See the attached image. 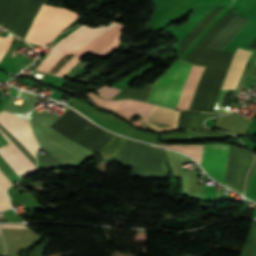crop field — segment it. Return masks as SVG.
Returning a JSON list of instances; mask_svg holds the SVG:
<instances>
[{
  "label": "crop field",
  "instance_id": "obj_4",
  "mask_svg": "<svg viewBox=\"0 0 256 256\" xmlns=\"http://www.w3.org/2000/svg\"><path fill=\"white\" fill-rule=\"evenodd\" d=\"M126 164L134 166L133 175L144 177H164L165 166L162 149L137 143Z\"/></svg>",
  "mask_w": 256,
  "mask_h": 256
},
{
  "label": "crop field",
  "instance_id": "obj_10",
  "mask_svg": "<svg viewBox=\"0 0 256 256\" xmlns=\"http://www.w3.org/2000/svg\"><path fill=\"white\" fill-rule=\"evenodd\" d=\"M168 147H172V148H176V149L182 150V151L188 153L189 155H191L192 157L196 158L198 160V162H199L201 145H170Z\"/></svg>",
  "mask_w": 256,
  "mask_h": 256
},
{
  "label": "crop field",
  "instance_id": "obj_8",
  "mask_svg": "<svg viewBox=\"0 0 256 256\" xmlns=\"http://www.w3.org/2000/svg\"><path fill=\"white\" fill-rule=\"evenodd\" d=\"M0 124L9 130L34 157L37 145L26 121L2 111L0 113Z\"/></svg>",
  "mask_w": 256,
  "mask_h": 256
},
{
  "label": "crop field",
  "instance_id": "obj_5",
  "mask_svg": "<svg viewBox=\"0 0 256 256\" xmlns=\"http://www.w3.org/2000/svg\"><path fill=\"white\" fill-rule=\"evenodd\" d=\"M229 145H204L201 166L214 179L224 184Z\"/></svg>",
  "mask_w": 256,
  "mask_h": 256
},
{
  "label": "crop field",
  "instance_id": "obj_6",
  "mask_svg": "<svg viewBox=\"0 0 256 256\" xmlns=\"http://www.w3.org/2000/svg\"><path fill=\"white\" fill-rule=\"evenodd\" d=\"M87 96L91 99L93 103H95L97 106L113 110L121 113L122 115L130 118L135 115H139L140 119L143 120V118L146 116V114L151 110L153 105L134 101L131 99L127 100H103L99 98L97 95L93 93H88Z\"/></svg>",
  "mask_w": 256,
  "mask_h": 256
},
{
  "label": "crop field",
  "instance_id": "obj_13",
  "mask_svg": "<svg viewBox=\"0 0 256 256\" xmlns=\"http://www.w3.org/2000/svg\"><path fill=\"white\" fill-rule=\"evenodd\" d=\"M11 40H12V37L10 36H7L5 38L0 37V59L6 52Z\"/></svg>",
  "mask_w": 256,
  "mask_h": 256
},
{
  "label": "crop field",
  "instance_id": "obj_9",
  "mask_svg": "<svg viewBox=\"0 0 256 256\" xmlns=\"http://www.w3.org/2000/svg\"><path fill=\"white\" fill-rule=\"evenodd\" d=\"M241 256H256V220H253L250 234Z\"/></svg>",
  "mask_w": 256,
  "mask_h": 256
},
{
  "label": "crop field",
  "instance_id": "obj_14",
  "mask_svg": "<svg viewBox=\"0 0 256 256\" xmlns=\"http://www.w3.org/2000/svg\"><path fill=\"white\" fill-rule=\"evenodd\" d=\"M0 227H20V228H28L26 226H21V225H0Z\"/></svg>",
  "mask_w": 256,
  "mask_h": 256
},
{
  "label": "crop field",
  "instance_id": "obj_7",
  "mask_svg": "<svg viewBox=\"0 0 256 256\" xmlns=\"http://www.w3.org/2000/svg\"><path fill=\"white\" fill-rule=\"evenodd\" d=\"M0 133L9 143L0 147V156L8 165L23 179L36 172V167L31 161L15 146V144L0 130Z\"/></svg>",
  "mask_w": 256,
  "mask_h": 256
},
{
  "label": "crop field",
  "instance_id": "obj_1",
  "mask_svg": "<svg viewBox=\"0 0 256 256\" xmlns=\"http://www.w3.org/2000/svg\"><path fill=\"white\" fill-rule=\"evenodd\" d=\"M108 27L119 30V34L126 25L116 21ZM105 27L90 28L82 26L56 46L52 47L35 70L48 72L64 54L75 53L83 56L90 52L94 55H108L116 46L118 31ZM114 51V50H113ZM106 57V56H98Z\"/></svg>",
  "mask_w": 256,
  "mask_h": 256
},
{
  "label": "crop field",
  "instance_id": "obj_11",
  "mask_svg": "<svg viewBox=\"0 0 256 256\" xmlns=\"http://www.w3.org/2000/svg\"><path fill=\"white\" fill-rule=\"evenodd\" d=\"M95 91L103 98L112 99L120 91V89H117L113 86H103Z\"/></svg>",
  "mask_w": 256,
  "mask_h": 256
},
{
  "label": "crop field",
  "instance_id": "obj_2",
  "mask_svg": "<svg viewBox=\"0 0 256 256\" xmlns=\"http://www.w3.org/2000/svg\"><path fill=\"white\" fill-rule=\"evenodd\" d=\"M174 64L163 75H161L154 83H152L145 101L151 102L156 105L159 104L162 94L164 92V89L166 87V84L168 82V79L170 77V74L172 72V69L174 67ZM183 66H184V63L181 62L180 60H177L159 105L167 107ZM191 68H192L191 65L185 64L168 107H171V108L176 107ZM203 69L204 68L202 67L193 66L176 109H184V110L188 109L189 102L195 91V88L197 86V83L199 81V78L202 74Z\"/></svg>",
  "mask_w": 256,
  "mask_h": 256
},
{
  "label": "crop field",
  "instance_id": "obj_3",
  "mask_svg": "<svg viewBox=\"0 0 256 256\" xmlns=\"http://www.w3.org/2000/svg\"><path fill=\"white\" fill-rule=\"evenodd\" d=\"M68 11L64 8H59ZM45 6L28 42L45 45L51 41L62 29L68 26L78 16Z\"/></svg>",
  "mask_w": 256,
  "mask_h": 256
},
{
  "label": "crop field",
  "instance_id": "obj_12",
  "mask_svg": "<svg viewBox=\"0 0 256 256\" xmlns=\"http://www.w3.org/2000/svg\"><path fill=\"white\" fill-rule=\"evenodd\" d=\"M6 189L2 183L0 182V191ZM11 208L9 197L6 193V191L0 192V211Z\"/></svg>",
  "mask_w": 256,
  "mask_h": 256
}]
</instances>
